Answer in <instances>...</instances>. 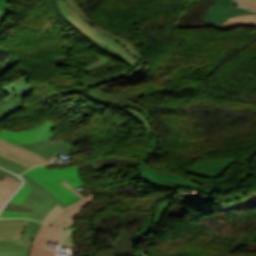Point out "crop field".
Listing matches in <instances>:
<instances>
[{
  "mask_svg": "<svg viewBox=\"0 0 256 256\" xmlns=\"http://www.w3.org/2000/svg\"><path fill=\"white\" fill-rule=\"evenodd\" d=\"M25 174L34 179L37 183L44 186L52 194L60 198L68 205L80 200L79 197H77L59 182L60 180L64 179L74 188L83 185L79 178L77 167L48 170L43 166H38L27 171Z\"/></svg>",
  "mask_w": 256,
  "mask_h": 256,
  "instance_id": "obj_1",
  "label": "crop field"
},
{
  "mask_svg": "<svg viewBox=\"0 0 256 256\" xmlns=\"http://www.w3.org/2000/svg\"><path fill=\"white\" fill-rule=\"evenodd\" d=\"M57 6L65 20L83 36L89 38L95 46L110 53L116 58L129 62L132 67L138 65V61L119 46L115 40L83 21L82 18L75 11L69 8L65 2L57 0Z\"/></svg>",
  "mask_w": 256,
  "mask_h": 256,
  "instance_id": "obj_2",
  "label": "crop field"
},
{
  "mask_svg": "<svg viewBox=\"0 0 256 256\" xmlns=\"http://www.w3.org/2000/svg\"><path fill=\"white\" fill-rule=\"evenodd\" d=\"M29 75L2 90L9 96L0 103L1 120L24 107L21 98L27 96L34 89L29 84Z\"/></svg>",
  "mask_w": 256,
  "mask_h": 256,
  "instance_id": "obj_3",
  "label": "crop field"
},
{
  "mask_svg": "<svg viewBox=\"0 0 256 256\" xmlns=\"http://www.w3.org/2000/svg\"><path fill=\"white\" fill-rule=\"evenodd\" d=\"M94 199V196L91 194L84 199L65 207L64 209L55 206L45 217L43 220L44 223L56 225L60 228L69 227L73 225L72 218L74 215L80 212V209L83 208L84 205L91 203Z\"/></svg>",
  "mask_w": 256,
  "mask_h": 256,
  "instance_id": "obj_4",
  "label": "crop field"
},
{
  "mask_svg": "<svg viewBox=\"0 0 256 256\" xmlns=\"http://www.w3.org/2000/svg\"><path fill=\"white\" fill-rule=\"evenodd\" d=\"M216 6H211L204 21L205 23L218 27L220 24L225 22L227 19L244 14H256L253 12L246 11L239 7L229 6L232 0H209Z\"/></svg>",
  "mask_w": 256,
  "mask_h": 256,
  "instance_id": "obj_5",
  "label": "crop field"
},
{
  "mask_svg": "<svg viewBox=\"0 0 256 256\" xmlns=\"http://www.w3.org/2000/svg\"><path fill=\"white\" fill-rule=\"evenodd\" d=\"M0 155L9 158L27 168L49 164L45 159L35 153L8 143L0 138Z\"/></svg>",
  "mask_w": 256,
  "mask_h": 256,
  "instance_id": "obj_6",
  "label": "crop field"
},
{
  "mask_svg": "<svg viewBox=\"0 0 256 256\" xmlns=\"http://www.w3.org/2000/svg\"><path fill=\"white\" fill-rule=\"evenodd\" d=\"M54 127L55 125L51 124L49 121H46L44 125L29 131L10 132L4 130L2 133H0V137L14 144L31 143L54 136L55 133L51 131Z\"/></svg>",
  "mask_w": 256,
  "mask_h": 256,
  "instance_id": "obj_7",
  "label": "crop field"
},
{
  "mask_svg": "<svg viewBox=\"0 0 256 256\" xmlns=\"http://www.w3.org/2000/svg\"><path fill=\"white\" fill-rule=\"evenodd\" d=\"M61 240V230L43 224L37 233L29 256H55L57 250L46 248L48 241L59 243Z\"/></svg>",
  "mask_w": 256,
  "mask_h": 256,
  "instance_id": "obj_8",
  "label": "crop field"
},
{
  "mask_svg": "<svg viewBox=\"0 0 256 256\" xmlns=\"http://www.w3.org/2000/svg\"><path fill=\"white\" fill-rule=\"evenodd\" d=\"M19 146L34 151L48 160H51L56 156L70 154L71 152V146L68 147V145L64 144V141L53 142L49 139Z\"/></svg>",
  "mask_w": 256,
  "mask_h": 256,
  "instance_id": "obj_9",
  "label": "crop field"
},
{
  "mask_svg": "<svg viewBox=\"0 0 256 256\" xmlns=\"http://www.w3.org/2000/svg\"><path fill=\"white\" fill-rule=\"evenodd\" d=\"M235 160H201L185 171L207 176L219 177Z\"/></svg>",
  "mask_w": 256,
  "mask_h": 256,
  "instance_id": "obj_10",
  "label": "crop field"
},
{
  "mask_svg": "<svg viewBox=\"0 0 256 256\" xmlns=\"http://www.w3.org/2000/svg\"><path fill=\"white\" fill-rule=\"evenodd\" d=\"M27 221L26 219H0V239L21 238Z\"/></svg>",
  "mask_w": 256,
  "mask_h": 256,
  "instance_id": "obj_11",
  "label": "crop field"
},
{
  "mask_svg": "<svg viewBox=\"0 0 256 256\" xmlns=\"http://www.w3.org/2000/svg\"><path fill=\"white\" fill-rule=\"evenodd\" d=\"M40 193L44 194L48 198L44 200L31 214L30 219L39 220L42 222L45 215L56 205H60L63 208L67 206L64 204L60 199L56 198L54 195H52L50 192H48L46 189L40 191Z\"/></svg>",
  "mask_w": 256,
  "mask_h": 256,
  "instance_id": "obj_12",
  "label": "crop field"
},
{
  "mask_svg": "<svg viewBox=\"0 0 256 256\" xmlns=\"http://www.w3.org/2000/svg\"><path fill=\"white\" fill-rule=\"evenodd\" d=\"M140 173H141L143 179H144L146 182H148V183H150L151 181L155 180V179L158 178V177H161V178H165V179H169V180H173V181H177V182L189 184V185H192V187L201 188V189L205 190V191H206V194L209 193V191H208L206 188H204V187H202V186H200V185H198V184H195V183H193V182H191V181H189V180H186V179H184V178L181 177V176L158 172V171H155V170L151 169V168L148 167V166H146V167L144 168V170L141 171ZM151 183H152V182H151Z\"/></svg>",
  "mask_w": 256,
  "mask_h": 256,
  "instance_id": "obj_13",
  "label": "crop field"
},
{
  "mask_svg": "<svg viewBox=\"0 0 256 256\" xmlns=\"http://www.w3.org/2000/svg\"><path fill=\"white\" fill-rule=\"evenodd\" d=\"M31 246H22L11 239L0 240V256L28 255Z\"/></svg>",
  "mask_w": 256,
  "mask_h": 256,
  "instance_id": "obj_14",
  "label": "crop field"
},
{
  "mask_svg": "<svg viewBox=\"0 0 256 256\" xmlns=\"http://www.w3.org/2000/svg\"><path fill=\"white\" fill-rule=\"evenodd\" d=\"M88 97L101 104L128 106V102H129L128 100L121 99L104 92H100L96 89L90 90Z\"/></svg>",
  "mask_w": 256,
  "mask_h": 256,
  "instance_id": "obj_15",
  "label": "crop field"
},
{
  "mask_svg": "<svg viewBox=\"0 0 256 256\" xmlns=\"http://www.w3.org/2000/svg\"><path fill=\"white\" fill-rule=\"evenodd\" d=\"M239 26L256 27V15H245V16L233 17L227 20L218 28L227 30L229 28H234Z\"/></svg>",
  "mask_w": 256,
  "mask_h": 256,
  "instance_id": "obj_16",
  "label": "crop field"
},
{
  "mask_svg": "<svg viewBox=\"0 0 256 256\" xmlns=\"http://www.w3.org/2000/svg\"><path fill=\"white\" fill-rule=\"evenodd\" d=\"M120 43L127 48V50L130 51V53H132V55H134L136 58H138L141 61V64L139 66H137L134 70H132L127 77L131 78L134 77L138 74H140L143 71L144 68V64H145V60L142 56V54L138 51V49L132 45L129 41H127L126 39H123L120 41Z\"/></svg>",
  "mask_w": 256,
  "mask_h": 256,
  "instance_id": "obj_17",
  "label": "crop field"
},
{
  "mask_svg": "<svg viewBox=\"0 0 256 256\" xmlns=\"http://www.w3.org/2000/svg\"><path fill=\"white\" fill-rule=\"evenodd\" d=\"M19 185V182L6 176L3 181H0V200L6 201Z\"/></svg>",
  "mask_w": 256,
  "mask_h": 256,
  "instance_id": "obj_18",
  "label": "crop field"
},
{
  "mask_svg": "<svg viewBox=\"0 0 256 256\" xmlns=\"http://www.w3.org/2000/svg\"><path fill=\"white\" fill-rule=\"evenodd\" d=\"M45 198L44 195L33 191L29 194V196L21 203V205L30 207L35 209Z\"/></svg>",
  "mask_w": 256,
  "mask_h": 256,
  "instance_id": "obj_19",
  "label": "crop field"
},
{
  "mask_svg": "<svg viewBox=\"0 0 256 256\" xmlns=\"http://www.w3.org/2000/svg\"><path fill=\"white\" fill-rule=\"evenodd\" d=\"M41 226V223L29 220L22 239L33 241L36 233L38 232Z\"/></svg>",
  "mask_w": 256,
  "mask_h": 256,
  "instance_id": "obj_20",
  "label": "crop field"
},
{
  "mask_svg": "<svg viewBox=\"0 0 256 256\" xmlns=\"http://www.w3.org/2000/svg\"><path fill=\"white\" fill-rule=\"evenodd\" d=\"M128 72V70H124L121 72H117V73H113L98 79H95L93 81L87 82L85 84V86L83 87V90H85L87 87H91V86H95L101 82H105V81H111V80H116L118 78H121L124 74H126Z\"/></svg>",
  "mask_w": 256,
  "mask_h": 256,
  "instance_id": "obj_21",
  "label": "crop field"
},
{
  "mask_svg": "<svg viewBox=\"0 0 256 256\" xmlns=\"http://www.w3.org/2000/svg\"><path fill=\"white\" fill-rule=\"evenodd\" d=\"M173 204H174V201H167V202H163V203L159 206L157 212L155 213V217H154V222H155V228H154V229H155V230H156V228L158 227V225H159V223H160V221H161V219H162L164 213L166 212V210H167L170 206H172Z\"/></svg>",
  "mask_w": 256,
  "mask_h": 256,
  "instance_id": "obj_22",
  "label": "crop field"
},
{
  "mask_svg": "<svg viewBox=\"0 0 256 256\" xmlns=\"http://www.w3.org/2000/svg\"><path fill=\"white\" fill-rule=\"evenodd\" d=\"M30 192L31 189L22 186L9 201L20 204Z\"/></svg>",
  "mask_w": 256,
  "mask_h": 256,
  "instance_id": "obj_23",
  "label": "crop field"
},
{
  "mask_svg": "<svg viewBox=\"0 0 256 256\" xmlns=\"http://www.w3.org/2000/svg\"><path fill=\"white\" fill-rule=\"evenodd\" d=\"M66 1H67V3H69L77 12H79L89 23H91L92 25H94L95 27H97L98 29H100L101 31H103V32H105V33H107V34H109V35L115 37L118 41L121 40V39H123V38H121V37H118V36H116V35H114V34L108 32V31H106V30H104V29L98 27V26L95 25L93 22H91V21L86 17V15L82 12V10L80 9V7L78 6V4L76 3L75 0H66ZM115 38H114V39H115Z\"/></svg>",
  "mask_w": 256,
  "mask_h": 256,
  "instance_id": "obj_24",
  "label": "crop field"
},
{
  "mask_svg": "<svg viewBox=\"0 0 256 256\" xmlns=\"http://www.w3.org/2000/svg\"><path fill=\"white\" fill-rule=\"evenodd\" d=\"M0 164L15 170L20 174L28 170V169L20 166L19 164L15 163L9 159L3 158V157H0Z\"/></svg>",
  "mask_w": 256,
  "mask_h": 256,
  "instance_id": "obj_25",
  "label": "crop field"
},
{
  "mask_svg": "<svg viewBox=\"0 0 256 256\" xmlns=\"http://www.w3.org/2000/svg\"><path fill=\"white\" fill-rule=\"evenodd\" d=\"M62 230L64 232V236L61 245L66 247H75L71 239L72 233L74 232L75 228H64Z\"/></svg>",
  "mask_w": 256,
  "mask_h": 256,
  "instance_id": "obj_26",
  "label": "crop field"
},
{
  "mask_svg": "<svg viewBox=\"0 0 256 256\" xmlns=\"http://www.w3.org/2000/svg\"><path fill=\"white\" fill-rule=\"evenodd\" d=\"M117 109H122L128 113H130L138 122L144 125L146 130H150L149 124L145 117H143L141 114L131 110V109H123V108H117Z\"/></svg>",
  "mask_w": 256,
  "mask_h": 256,
  "instance_id": "obj_27",
  "label": "crop field"
},
{
  "mask_svg": "<svg viewBox=\"0 0 256 256\" xmlns=\"http://www.w3.org/2000/svg\"><path fill=\"white\" fill-rule=\"evenodd\" d=\"M21 177L24 178V185L36 190V191H40L42 189H44L41 185L37 184L35 181H33L30 177H28L27 175L23 174L21 175Z\"/></svg>",
  "mask_w": 256,
  "mask_h": 256,
  "instance_id": "obj_28",
  "label": "crop field"
},
{
  "mask_svg": "<svg viewBox=\"0 0 256 256\" xmlns=\"http://www.w3.org/2000/svg\"><path fill=\"white\" fill-rule=\"evenodd\" d=\"M6 210H12V211H22V212H29L32 213L33 209L18 205V204H14V203H10L8 202V204L5 206Z\"/></svg>",
  "mask_w": 256,
  "mask_h": 256,
  "instance_id": "obj_29",
  "label": "crop field"
},
{
  "mask_svg": "<svg viewBox=\"0 0 256 256\" xmlns=\"http://www.w3.org/2000/svg\"><path fill=\"white\" fill-rule=\"evenodd\" d=\"M106 63H109L108 60H103V59H98L90 64H88L86 67L82 68L86 73L97 68L100 67Z\"/></svg>",
  "mask_w": 256,
  "mask_h": 256,
  "instance_id": "obj_30",
  "label": "crop field"
},
{
  "mask_svg": "<svg viewBox=\"0 0 256 256\" xmlns=\"http://www.w3.org/2000/svg\"><path fill=\"white\" fill-rule=\"evenodd\" d=\"M29 213H21V212H12V211H5L2 210L0 213V217H26L29 218Z\"/></svg>",
  "mask_w": 256,
  "mask_h": 256,
  "instance_id": "obj_31",
  "label": "crop field"
},
{
  "mask_svg": "<svg viewBox=\"0 0 256 256\" xmlns=\"http://www.w3.org/2000/svg\"><path fill=\"white\" fill-rule=\"evenodd\" d=\"M246 7L256 10V0H240Z\"/></svg>",
  "mask_w": 256,
  "mask_h": 256,
  "instance_id": "obj_32",
  "label": "crop field"
},
{
  "mask_svg": "<svg viewBox=\"0 0 256 256\" xmlns=\"http://www.w3.org/2000/svg\"><path fill=\"white\" fill-rule=\"evenodd\" d=\"M129 107H135V108L141 110L144 114L147 115V117H148L149 119H151L150 113H148V112L146 111V109H144V108H142V107H140V106H138V105H136V104H134V103H132V102L129 103Z\"/></svg>",
  "mask_w": 256,
  "mask_h": 256,
  "instance_id": "obj_33",
  "label": "crop field"
},
{
  "mask_svg": "<svg viewBox=\"0 0 256 256\" xmlns=\"http://www.w3.org/2000/svg\"><path fill=\"white\" fill-rule=\"evenodd\" d=\"M18 62V59L15 58L12 63L10 65H8L5 69H3L1 72H0V75L5 73L6 71H8L9 69L13 68V66Z\"/></svg>",
  "mask_w": 256,
  "mask_h": 256,
  "instance_id": "obj_34",
  "label": "crop field"
},
{
  "mask_svg": "<svg viewBox=\"0 0 256 256\" xmlns=\"http://www.w3.org/2000/svg\"><path fill=\"white\" fill-rule=\"evenodd\" d=\"M62 184H64L67 188H69L72 192H74L76 195H78L81 199L84 198L83 196H81L77 190L73 189L67 182H65L64 180L61 181Z\"/></svg>",
  "mask_w": 256,
  "mask_h": 256,
  "instance_id": "obj_35",
  "label": "crop field"
},
{
  "mask_svg": "<svg viewBox=\"0 0 256 256\" xmlns=\"http://www.w3.org/2000/svg\"><path fill=\"white\" fill-rule=\"evenodd\" d=\"M19 243H21L22 245H31L32 242L30 241H25V240H22V239H13Z\"/></svg>",
  "mask_w": 256,
  "mask_h": 256,
  "instance_id": "obj_36",
  "label": "crop field"
},
{
  "mask_svg": "<svg viewBox=\"0 0 256 256\" xmlns=\"http://www.w3.org/2000/svg\"><path fill=\"white\" fill-rule=\"evenodd\" d=\"M7 4V1L0 0V10L5 11V5Z\"/></svg>",
  "mask_w": 256,
  "mask_h": 256,
  "instance_id": "obj_37",
  "label": "crop field"
},
{
  "mask_svg": "<svg viewBox=\"0 0 256 256\" xmlns=\"http://www.w3.org/2000/svg\"><path fill=\"white\" fill-rule=\"evenodd\" d=\"M0 174L7 175V176H9V177H11V178H13V179L16 178V176H14V175H12V174H10V173H8V172H5V171H3V170H1V169H0Z\"/></svg>",
  "mask_w": 256,
  "mask_h": 256,
  "instance_id": "obj_38",
  "label": "crop field"
},
{
  "mask_svg": "<svg viewBox=\"0 0 256 256\" xmlns=\"http://www.w3.org/2000/svg\"><path fill=\"white\" fill-rule=\"evenodd\" d=\"M11 62H9L8 60L5 62V65L2 67V68H0V71L3 69V68H5L8 64H10Z\"/></svg>",
  "mask_w": 256,
  "mask_h": 256,
  "instance_id": "obj_39",
  "label": "crop field"
},
{
  "mask_svg": "<svg viewBox=\"0 0 256 256\" xmlns=\"http://www.w3.org/2000/svg\"><path fill=\"white\" fill-rule=\"evenodd\" d=\"M4 14H5V12L0 11V22H1L2 17L4 16Z\"/></svg>",
  "mask_w": 256,
  "mask_h": 256,
  "instance_id": "obj_40",
  "label": "crop field"
},
{
  "mask_svg": "<svg viewBox=\"0 0 256 256\" xmlns=\"http://www.w3.org/2000/svg\"><path fill=\"white\" fill-rule=\"evenodd\" d=\"M140 254H141V256H148V255H146V254L143 252V250H140Z\"/></svg>",
  "mask_w": 256,
  "mask_h": 256,
  "instance_id": "obj_41",
  "label": "crop field"
},
{
  "mask_svg": "<svg viewBox=\"0 0 256 256\" xmlns=\"http://www.w3.org/2000/svg\"><path fill=\"white\" fill-rule=\"evenodd\" d=\"M1 166V165H0ZM2 167H4V166H2ZM4 168H6V167H4ZM6 169H8V170H10V171H12V172H14V173H16L15 171H13V170H11V169H9V168H6ZM16 174H18V173H16ZM18 175H20V174H18Z\"/></svg>",
  "mask_w": 256,
  "mask_h": 256,
  "instance_id": "obj_42",
  "label": "crop field"
},
{
  "mask_svg": "<svg viewBox=\"0 0 256 256\" xmlns=\"http://www.w3.org/2000/svg\"><path fill=\"white\" fill-rule=\"evenodd\" d=\"M4 203H5V202H1V201H0V209H1V207L4 205Z\"/></svg>",
  "mask_w": 256,
  "mask_h": 256,
  "instance_id": "obj_43",
  "label": "crop field"
},
{
  "mask_svg": "<svg viewBox=\"0 0 256 256\" xmlns=\"http://www.w3.org/2000/svg\"><path fill=\"white\" fill-rule=\"evenodd\" d=\"M4 175H0V180H3L4 179ZM6 178V177H5Z\"/></svg>",
  "mask_w": 256,
  "mask_h": 256,
  "instance_id": "obj_44",
  "label": "crop field"
},
{
  "mask_svg": "<svg viewBox=\"0 0 256 256\" xmlns=\"http://www.w3.org/2000/svg\"><path fill=\"white\" fill-rule=\"evenodd\" d=\"M15 180H17V181L21 182V179H20V178H18V177H17ZM20 184H21V183H20Z\"/></svg>",
  "mask_w": 256,
  "mask_h": 256,
  "instance_id": "obj_45",
  "label": "crop field"
},
{
  "mask_svg": "<svg viewBox=\"0 0 256 256\" xmlns=\"http://www.w3.org/2000/svg\"><path fill=\"white\" fill-rule=\"evenodd\" d=\"M253 112H256V111H253Z\"/></svg>",
  "mask_w": 256,
  "mask_h": 256,
  "instance_id": "obj_46",
  "label": "crop field"
},
{
  "mask_svg": "<svg viewBox=\"0 0 256 256\" xmlns=\"http://www.w3.org/2000/svg\"><path fill=\"white\" fill-rule=\"evenodd\" d=\"M237 1V0H236Z\"/></svg>",
  "mask_w": 256,
  "mask_h": 256,
  "instance_id": "obj_47",
  "label": "crop field"
}]
</instances>
